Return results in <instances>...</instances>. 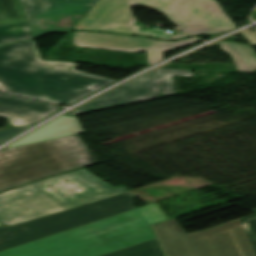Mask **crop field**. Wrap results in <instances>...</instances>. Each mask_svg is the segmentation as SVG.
Here are the masks:
<instances>
[{"mask_svg": "<svg viewBox=\"0 0 256 256\" xmlns=\"http://www.w3.org/2000/svg\"><path fill=\"white\" fill-rule=\"evenodd\" d=\"M75 63L42 61L34 41L0 47V88L33 99L71 104L116 81L75 70Z\"/></svg>", "mask_w": 256, "mask_h": 256, "instance_id": "8a807250", "label": "crop field"}, {"mask_svg": "<svg viewBox=\"0 0 256 256\" xmlns=\"http://www.w3.org/2000/svg\"><path fill=\"white\" fill-rule=\"evenodd\" d=\"M168 220L157 202L0 252V256H101L155 239L152 224Z\"/></svg>", "mask_w": 256, "mask_h": 256, "instance_id": "ac0d7876", "label": "crop field"}, {"mask_svg": "<svg viewBox=\"0 0 256 256\" xmlns=\"http://www.w3.org/2000/svg\"><path fill=\"white\" fill-rule=\"evenodd\" d=\"M132 5L155 9L192 35L218 34L235 28L216 0H100L73 29L172 38L162 29L141 31L140 26H134L137 21L130 9Z\"/></svg>", "mask_w": 256, "mask_h": 256, "instance_id": "34b2d1b8", "label": "crop field"}, {"mask_svg": "<svg viewBox=\"0 0 256 256\" xmlns=\"http://www.w3.org/2000/svg\"><path fill=\"white\" fill-rule=\"evenodd\" d=\"M97 163L78 134L0 152V190Z\"/></svg>", "mask_w": 256, "mask_h": 256, "instance_id": "412701ff", "label": "crop field"}, {"mask_svg": "<svg viewBox=\"0 0 256 256\" xmlns=\"http://www.w3.org/2000/svg\"><path fill=\"white\" fill-rule=\"evenodd\" d=\"M227 224L186 234L175 219L152 227L165 256H256V210Z\"/></svg>", "mask_w": 256, "mask_h": 256, "instance_id": "f4fd0767", "label": "crop field"}, {"mask_svg": "<svg viewBox=\"0 0 256 256\" xmlns=\"http://www.w3.org/2000/svg\"><path fill=\"white\" fill-rule=\"evenodd\" d=\"M76 175L101 191L63 202L40 187ZM127 191L124 186L114 188L82 169L0 193V222L11 226Z\"/></svg>", "mask_w": 256, "mask_h": 256, "instance_id": "dd49c442", "label": "crop field"}, {"mask_svg": "<svg viewBox=\"0 0 256 256\" xmlns=\"http://www.w3.org/2000/svg\"><path fill=\"white\" fill-rule=\"evenodd\" d=\"M131 192L15 226L0 227V251L134 209Z\"/></svg>", "mask_w": 256, "mask_h": 256, "instance_id": "e52e79f7", "label": "crop field"}, {"mask_svg": "<svg viewBox=\"0 0 256 256\" xmlns=\"http://www.w3.org/2000/svg\"><path fill=\"white\" fill-rule=\"evenodd\" d=\"M193 77L190 70L156 68L90 102L79 107L68 116L83 114L101 109L122 106L173 96L176 89L173 76Z\"/></svg>", "mask_w": 256, "mask_h": 256, "instance_id": "d8731c3e", "label": "crop field"}, {"mask_svg": "<svg viewBox=\"0 0 256 256\" xmlns=\"http://www.w3.org/2000/svg\"><path fill=\"white\" fill-rule=\"evenodd\" d=\"M97 0H21L35 38L70 31Z\"/></svg>", "mask_w": 256, "mask_h": 256, "instance_id": "5a996713", "label": "crop field"}, {"mask_svg": "<svg viewBox=\"0 0 256 256\" xmlns=\"http://www.w3.org/2000/svg\"><path fill=\"white\" fill-rule=\"evenodd\" d=\"M73 36L75 46L126 52L146 51L148 66L163 60L165 51L199 41L191 37L174 42H162L138 36L88 32H73Z\"/></svg>", "mask_w": 256, "mask_h": 256, "instance_id": "3316defc", "label": "crop field"}, {"mask_svg": "<svg viewBox=\"0 0 256 256\" xmlns=\"http://www.w3.org/2000/svg\"><path fill=\"white\" fill-rule=\"evenodd\" d=\"M59 109V107L0 94V117L8 120L0 131L38 123Z\"/></svg>", "mask_w": 256, "mask_h": 256, "instance_id": "28ad6ade", "label": "crop field"}, {"mask_svg": "<svg viewBox=\"0 0 256 256\" xmlns=\"http://www.w3.org/2000/svg\"><path fill=\"white\" fill-rule=\"evenodd\" d=\"M81 132H84V130L79 125L76 117H67L64 115L28 134L7 148L46 141Z\"/></svg>", "mask_w": 256, "mask_h": 256, "instance_id": "d1516ede", "label": "crop field"}, {"mask_svg": "<svg viewBox=\"0 0 256 256\" xmlns=\"http://www.w3.org/2000/svg\"><path fill=\"white\" fill-rule=\"evenodd\" d=\"M218 44L223 52L231 56L237 72L253 73L256 71V53L252 47L228 41Z\"/></svg>", "mask_w": 256, "mask_h": 256, "instance_id": "22f410ed", "label": "crop field"}, {"mask_svg": "<svg viewBox=\"0 0 256 256\" xmlns=\"http://www.w3.org/2000/svg\"><path fill=\"white\" fill-rule=\"evenodd\" d=\"M66 180H68L69 182H65ZM66 180H62L42 187L63 201L89 194L95 191H99L97 188L87 183L78 176Z\"/></svg>", "mask_w": 256, "mask_h": 256, "instance_id": "cbeb9de0", "label": "crop field"}, {"mask_svg": "<svg viewBox=\"0 0 256 256\" xmlns=\"http://www.w3.org/2000/svg\"><path fill=\"white\" fill-rule=\"evenodd\" d=\"M104 256H164V254L155 239Z\"/></svg>", "mask_w": 256, "mask_h": 256, "instance_id": "5142ce71", "label": "crop field"}, {"mask_svg": "<svg viewBox=\"0 0 256 256\" xmlns=\"http://www.w3.org/2000/svg\"><path fill=\"white\" fill-rule=\"evenodd\" d=\"M26 23L17 0H0V25Z\"/></svg>", "mask_w": 256, "mask_h": 256, "instance_id": "d9b57169", "label": "crop field"}, {"mask_svg": "<svg viewBox=\"0 0 256 256\" xmlns=\"http://www.w3.org/2000/svg\"><path fill=\"white\" fill-rule=\"evenodd\" d=\"M32 38L26 24L0 26V44Z\"/></svg>", "mask_w": 256, "mask_h": 256, "instance_id": "733c2abd", "label": "crop field"}, {"mask_svg": "<svg viewBox=\"0 0 256 256\" xmlns=\"http://www.w3.org/2000/svg\"><path fill=\"white\" fill-rule=\"evenodd\" d=\"M31 126L32 125L0 132V143H3L13 138L14 136L18 135L19 133H21L22 131L26 130Z\"/></svg>", "mask_w": 256, "mask_h": 256, "instance_id": "4a817a6b", "label": "crop field"}, {"mask_svg": "<svg viewBox=\"0 0 256 256\" xmlns=\"http://www.w3.org/2000/svg\"><path fill=\"white\" fill-rule=\"evenodd\" d=\"M187 36H190V35H185V34L178 32L177 34H175L173 36V38L171 40H176V39H180V38L187 37Z\"/></svg>", "mask_w": 256, "mask_h": 256, "instance_id": "bc2a9ffb", "label": "crop field"}, {"mask_svg": "<svg viewBox=\"0 0 256 256\" xmlns=\"http://www.w3.org/2000/svg\"><path fill=\"white\" fill-rule=\"evenodd\" d=\"M0 226H3V225L0 223Z\"/></svg>", "mask_w": 256, "mask_h": 256, "instance_id": "214f88e0", "label": "crop field"}]
</instances>
